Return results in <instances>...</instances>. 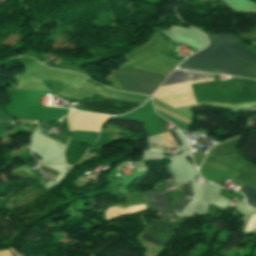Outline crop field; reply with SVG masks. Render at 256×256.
I'll list each match as a JSON object with an SVG mask.
<instances>
[{
    "mask_svg": "<svg viewBox=\"0 0 256 256\" xmlns=\"http://www.w3.org/2000/svg\"><path fill=\"white\" fill-rule=\"evenodd\" d=\"M154 209L163 213L174 215L164 192L147 193Z\"/></svg>",
    "mask_w": 256,
    "mask_h": 256,
    "instance_id": "crop-field-5",
    "label": "crop field"
},
{
    "mask_svg": "<svg viewBox=\"0 0 256 256\" xmlns=\"http://www.w3.org/2000/svg\"><path fill=\"white\" fill-rule=\"evenodd\" d=\"M213 78L212 75L185 71V70H175L164 82L163 85H170L176 83H183V82H190V81H197L203 79H210Z\"/></svg>",
    "mask_w": 256,
    "mask_h": 256,
    "instance_id": "crop-field-4",
    "label": "crop field"
},
{
    "mask_svg": "<svg viewBox=\"0 0 256 256\" xmlns=\"http://www.w3.org/2000/svg\"><path fill=\"white\" fill-rule=\"evenodd\" d=\"M209 46L186 59L179 67L186 69L256 74V57L231 34H208Z\"/></svg>",
    "mask_w": 256,
    "mask_h": 256,
    "instance_id": "crop-field-1",
    "label": "crop field"
},
{
    "mask_svg": "<svg viewBox=\"0 0 256 256\" xmlns=\"http://www.w3.org/2000/svg\"><path fill=\"white\" fill-rule=\"evenodd\" d=\"M191 199H186V200H183V201H176V202H173L172 205H173V208H175V210L177 211H181L187 204L188 202L190 201Z\"/></svg>",
    "mask_w": 256,
    "mask_h": 256,
    "instance_id": "crop-field-7",
    "label": "crop field"
},
{
    "mask_svg": "<svg viewBox=\"0 0 256 256\" xmlns=\"http://www.w3.org/2000/svg\"><path fill=\"white\" fill-rule=\"evenodd\" d=\"M81 104L84 107H86L90 112L104 113V114H111V115L123 114L141 105L140 103H136V102H126V101H120V100H117V101L91 100V101L81 102Z\"/></svg>",
    "mask_w": 256,
    "mask_h": 256,
    "instance_id": "crop-field-3",
    "label": "crop field"
},
{
    "mask_svg": "<svg viewBox=\"0 0 256 256\" xmlns=\"http://www.w3.org/2000/svg\"><path fill=\"white\" fill-rule=\"evenodd\" d=\"M241 190H243V191H245V192H247V193H249V194H251V195L256 197V190L251 188V187H249V186H247V185L242 187ZM244 194L247 196V198L249 200V203L256 207V198H254V197H252V196H250V195H248L246 193H244Z\"/></svg>",
    "mask_w": 256,
    "mask_h": 256,
    "instance_id": "crop-field-6",
    "label": "crop field"
},
{
    "mask_svg": "<svg viewBox=\"0 0 256 256\" xmlns=\"http://www.w3.org/2000/svg\"><path fill=\"white\" fill-rule=\"evenodd\" d=\"M0 256H11L8 250L0 251Z\"/></svg>",
    "mask_w": 256,
    "mask_h": 256,
    "instance_id": "crop-field-10",
    "label": "crop field"
},
{
    "mask_svg": "<svg viewBox=\"0 0 256 256\" xmlns=\"http://www.w3.org/2000/svg\"><path fill=\"white\" fill-rule=\"evenodd\" d=\"M170 134L173 137L174 141L176 142L177 146H181L182 143L179 140L178 136L176 135L175 131H170Z\"/></svg>",
    "mask_w": 256,
    "mask_h": 256,
    "instance_id": "crop-field-9",
    "label": "crop field"
},
{
    "mask_svg": "<svg viewBox=\"0 0 256 256\" xmlns=\"http://www.w3.org/2000/svg\"><path fill=\"white\" fill-rule=\"evenodd\" d=\"M115 77L125 91L144 94H151L165 78L135 68L121 71Z\"/></svg>",
    "mask_w": 256,
    "mask_h": 256,
    "instance_id": "crop-field-2",
    "label": "crop field"
},
{
    "mask_svg": "<svg viewBox=\"0 0 256 256\" xmlns=\"http://www.w3.org/2000/svg\"><path fill=\"white\" fill-rule=\"evenodd\" d=\"M184 196H193L190 183L183 186Z\"/></svg>",
    "mask_w": 256,
    "mask_h": 256,
    "instance_id": "crop-field-8",
    "label": "crop field"
}]
</instances>
